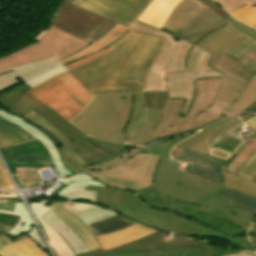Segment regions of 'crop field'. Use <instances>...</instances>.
<instances>
[{
    "instance_id": "11",
    "label": "crop field",
    "mask_w": 256,
    "mask_h": 256,
    "mask_svg": "<svg viewBox=\"0 0 256 256\" xmlns=\"http://www.w3.org/2000/svg\"><path fill=\"white\" fill-rule=\"evenodd\" d=\"M108 21L109 19L63 1L55 11L50 25L89 42Z\"/></svg>"
},
{
    "instance_id": "6",
    "label": "crop field",
    "mask_w": 256,
    "mask_h": 256,
    "mask_svg": "<svg viewBox=\"0 0 256 256\" xmlns=\"http://www.w3.org/2000/svg\"><path fill=\"white\" fill-rule=\"evenodd\" d=\"M223 79L216 77L195 80L194 99L185 117H180L185 100L167 99L161 120L155 127V138L197 129L220 119L205 109L217 98Z\"/></svg>"
},
{
    "instance_id": "38",
    "label": "crop field",
    "mask_w": 256,
    "mask_h": 256,
    "mask_svg": "<svg viewBox=\"0 0 256 256\" xmlns=\"http://www.w3.org/2000/svg\"><path fill=\"white\" fill-rule=\"evenodd\" d=\"M234 18L245 23L248 26L256 24V8L245 5L238 10L230 13Z\"/></svg>"
},
{
    "instance_id": "64",
    "label": "crop field",
    "mask_w": 256,
    "mask_h": 256,
    "mask_svg": "<svg viewBox=\"0 0 256 256\" xmlns=\"http://www.w3.org/2000/svg\"><path fill=\"white\" fill-rule=\"evenodd\" d=\"M249 238H250V240L252 241V243H253L254 245H256V237H254V236H249Z\"/></svg>"
},
{
    "instance_id": "72",
    "label": "crop field",
    "mask_w": 256,
    "mask_h": 256,
    "mask_svg": "<svg viewBox=\"0 0 256 256\" xmlns=\"http://www.w3.org/2000/svg\"><path fill=\"white\" fill-rule=\"evenodd\" d=\"M252 28L256 29V25H254Z\"/></svg>"
},
{
    "instance_id": "24",
    "label": "crop field",
    "mask_w": 256,
    "mask_h": 256,
    "mask_svg": "<svg viewBox=\"0 0 256 256\" xmlns=\"http://www.w3.org/2000/svg\"><path fill=\"white\" fill-rule=\"evenodd\" d=\"M239 122L241 121L238 117L225 120L200 131L177 146L199 152L217 136L237 125Z\"/></svg>"
},
{
    "instance_id": "9",
    "label": "crop field",
    "mask_w": 256,
    "mask_h": 256,
    "mask_svg": "<svg viewBox=\"0 0 256 256\" xmlns=\"http://www.w3.org/2000/svg\"><path fill=\"white\" fill-rule=\"evenodd\" d=\"M33 111L73 140L74 142L69 143V145L89 165L110 159L128 147V145L104 142L89 137L45 104Z\"/></svg>"
},
{
    "instance_id": "37",
    "label": "crop field",
    "mask_w": 256,
    "mask_h": 256,
    "mask_svg": "<svg viewBox=\"0 0 256 256\" xmlns=\"http://www.w3.org/2000/svg\"><path fill=\"white\" fill-rule=\"evenodd\" d=\"M73 215H75L80 221L87 225L116 214L109 210H102L100 207L93 205L89 208L75 212Z\"/></svg>"
},
{
    "instance_id": "16",
    "label": "crop field",
    "mask_w": 256,
    "mask_h": 256,
    "mask_svg": "<svg viewBox=\"0 0 256 256\" xmlns=\"http://www.w3.org/2000/svg\"><path fill=\"white\" fill-rule=\"evenodd\" d=\"M171 155L190 162L186 171L224 185L222 166L218 165L221 160L178 147L173 148Z\"/></svg>"
},
{
    "instance_id": "4",
    "label": "crop field",
    "mask_w": 256,
    "mask_h": 256,
    "mask_svg": "<svg viewBox=\"0 0 256 256\" xmlns=\"http://www.w3.org/2000/svg\"><path fill=\"white\" fill-rule=\"evenodd\" d=\"M39 41L0 58V91L19 84L16 78L25 83L61 66L58 60L89 44L52 26Z\"/></svg>"
},
{
    "instance_id": "63",
    "label": "crop field",
    "mask_w": 256,
    "mask_h": 256,
    "mask_svg": "<svg viewBox=\"0 0 256 256\" xmlns=\"http://www.w3.org/2000/svg\"><path fill=\"white\" fill-rule=\"evenodd\" d=\"M9 240H11V239H9L8 237H6V236L4 235V236H2V237L0 238V244H2V243H4V242H7V241H9Z\"/></svg>"
},
{
    "instance_id": "65",
    "label": "crop field",
    "mask_w": 256,
    "mask_h": 256,
    "mask_svg": "<svg viewBox=\"0 0 256 256\" xmlns=\"http://www.w3.org/2000/svg\"><path fill=\"white\" fill-rule=\"evenodd\" d=\"M70 98L73 99L76 103H78L80 106H82L83 108L85 107L83 104H81L79 101H77L74 97H72L70 95Z\"/></svg>"
},
{
    "instance_id": "3",
    "label": "crop field",
    "mask_w": 256,
    "mask_h": 256,
    "mask_svg": "<svg viewBox=\"0 0 256 256\" xmlns=\"http://www.w3.org/2000/svg\"><path fill=\"white\" fill-rule=\"evenodd\" d=\"M165 39L131 31L111 47L66 66L92 93L142 90Z\"/></svg>"
},
{
    "instance_id": "54",
    "label": "crop field",
    "mask_w": 256,
    "mask_h": 256,
    "mask_svg": "<svg viewBox=\"0 0 256 256\" xmlns=\"http://www.w3.org/2000/svg\"><path fill=\"white\" fill-rule=\"evenodd\" d=\"M243 122L256 130V116L255 115Z\"/></svg>"
},
{
    "instance_id": "20",
    "label": "crop field",
    "mask_w": 256,
    "mask_h": 256,
    "mask_svg": "<svg viewBox=\"0 0 256 256\" xmlns=\"http://www.w3.org/2000/svg\"><path fill=\"white\" fill-rule=\"evenodd\" d=\"M0 116L9 120L12 123L18 125L24 131L29 133L34 139L38 138L46 146V148L48 149V151L51 155L54 166L56 167L61 178L73 174V173L67 171L65 169V167L63 166V163L61 161L57 147L47 134H45L40 129L34 127L32 124L22 120L21 118H18L16 116L12 115L10 113H7L5 111H0Z\"/></svg>"
},
{
    "instance_id": "7",
    "label": "crop field",
    "mask_w": 256,
    "mask_h": 256,
    "mask_svg": "<svg viewBox=\"0 0 256 256\" xmlns=\"http://www.w3.org/2000/svg\"><path fill=\"white\" fill-rule=\"evenodd\" d=\"M245 38L246 36L226 25L208 34L196 45L212 54L209 66L241 84H246L256 74V47L237 60L225 55L226 51Z\"/></svg>"
},
{
    "instance_id": "12",
    "label": "crop field",
    "mask_w": 256,
    "mask_h": 256,
    "mask_svg": "<svg viewBox=\"0 0 256 256\" xmlns=\"http://www.w3.org/2000/svg\"><path fill=\"white\" fill-rule=\"evenodd\" d=\"M151 0H73L72 3L98 15L132 26Z\"/></svg>"
},
{
    "instance_id": "32",
    "label": "crop field",
    "mask_w": 256,
    "mask_h": 256,
    "mask_svg": "<svg viewBox=\"0 0 256 256\" xmlns=\"http://www.w3.org/2000/svg\"><path fill=\"white\" fill-rule=\"evenodd\" d=\"M51 209L59 215L68 226L73 229L76 234L82 239V241L87 245V247L92 250L100 249V245L95 239V237L86 229V227L70 212L62 208L61 206L54 203Z\"/></svg>"
},
{
    "instance_id": "50",
    "label": "crop field",
    "mask_w": 256,
    "mask_h": 256,
    "mask_svg": "<svg viewBox=\"0 0 256 256\" xmlns=\"http://www.w3.org/2000/svg\"><path fill=\"white\" fill-rule=\"evenodd\" d=\"M18 217L0 213V223L13 225L17 222Z\"/></svg>"
},
{
    "instance_id": "73",
    "label": "crop field",
    "mask_w": 256,
    "mask_h": 256,
    "mask_svg": "<svg viewBox=\"0 0 256 256\" xmlns=\"http://www.w3.org/2000/svg\"><path fill=\"white\" fill-rule=\"evenodd\" d=\"M66 1H69V2H71L72 0H66Z\"/></svg>"
},
{
    "instance_id": "1",
    "label": "crop field",
    "mask_w": 256,
    "mask_h": 256,
    "mask_svg": "<svg viewBox=\"0 0 256 256\" xmlns=\"http://www.w3.org/2000/svg\"><path fill=\"white\" fill-rule=\"evenodd\" d=\"M192 134L142 151L160 155L152 186L136 194L103 187L86 190H98L95 201L159 230L230 240L255 252L256 247L246 237L254 216L214 198L225 186L185 172L186 163L178 167L169 159L170 149Z\"/></svg>"
},
{
    "instance_id": "47",
    "label": "crop field",
    "mask_w": 256,
    "mask_h": 256,
    "mask_svg": "<svg viewBox=\"0 0 256 256\" xmlns=\"http://www.w3.org/2000/svg\"><path fill=\"white\" fill-rule=\"evenodd\" d=\"M27 235L29 237H31L34 240V242L37 243L41 248H43L44 250L47 249L45 243L43 242V240H42V238H41V236H40V234H39V232H38V230L36 228V226L33 227L30 230V232L27 233Z\"/></svg>"
},
{
    "instance_id": "30",
    "label": "crop field",
    "mask_w": 256,
    "mask_h": 256,
    "mask_svg": "<svg viewBox=\"0 0 256 256\" xmlns=\"http://www.w3.org/2000/svg\"><path fill=\"white\" fill-rule=\"evenodd\" d=\"M42 218L64 238L76 255L89 252V249L75 232L71 230L51 209Z\"/></svg>"
},
{
    "instance_id": "39",
    "label": "crop field",
    "mask_w": 256,
    "mask_h": 256,
    "mask_svg": "<svg viewBox=\"0 0 256 256\" xmlns=\"http://www.w3.org/2000/svg\"><path fill=\"white\" fill-rule=\"evenodd\" d=\"M142 147H132L129 146L124 152H122L121 154L117 155L115 158L98 163V164H94L91 166H88L86 168H84L85 170L89 171V170H93V169H97V168H102V167H106V166H110V165H114L117 164L123 160L128 159L129 157H131L133 154H135L138 150H140Z\"/></svg>"
},
{
    "instance_id": "49",
    "label": "crop field",
    "mask_w": 256,
    "mask_h": 256,
    "mask_svg": "<svg viewBox=\"0 0 256 256\" xmlns=\"http://www.w3.org/2000/svg\"><path fill=\"white\" fill-rule=\"evenodd\" d=\"M201 2H203L204 4H206L207 6H209L211 9H213L217 14H219L221 17L226 18L229 17V15L227 13H225L221 8H219L214 2L210 1V0H200Z\"/></svg>"
},
{
    "instance_id": "22",
    "label": "crop field",
    "mask_w": 256,
    "mask_h": 256,
    "mask_svg": "<svg viewBox=\"0 0 256 256\" xmlns=\"http://www.w3.org/2000/svg\"><path fill=\"white\" fill-rule=\"evenodd\" d=\"M165 235H166V232L159 231L154 234L143 237L141 239L135 240L133 242L110 249L108 251L122 250V249H135V248L168 247V246L205 243L203 241L188 239V238L177 236L174 234L172 235L171 239H169L165 237Z\"/></svg>"
},
{
    "instance_id": "10",
    "label": "crop field",
    "mask_w": 256,
    "mask_h": 256,
    "mask_svg": "<svg viewBox=\"0 0 256 256\" xmlns=\"http://www.w3.org/2000/svg\"><path fill=\"white\" fill-rule=\"evenodd\" d=\"M158 157L157 155L139 153L120 166L88 174L108 187L123 188L136 193L152 184Z\"/></svg>"
},
{
    "instance_id": "62",
    "label": "crop field",
    "mask_w": 256,
    "mask_h": 256,
    "mask_svg": "<svg viewBox=\"0 0 256 256\" xmlns=\"http://www.w3.org/2000/svg\"><path fill=\"white\" fill-rule=\"evenodd\" d=\"M254 114L256 115V111L253 112V113H251V114H247V115L240 116V118H241L242 121H243V120L247 119L248 117H250V116H252V115H254Z\"/></svg>"
},
{
    "instance_id": "8",
    "label": "crop field",
    "mask_w": 256,
    "mask_h": 256,
    "mask_svg": "<svg viewBox=\"0 0 256 256\" xmlns=\"http://www.w3.org/2000/svg\"><path fill=\"white\" fill-rule=\"evenodd\" d=\"M28 92L68 121L83 109L68 97L69 94L85 106L93 97L68 71L43 82Z\"/></svg>"
},
{
    "instance_id": "44",
    "label": "crop field",
    "mask_w": 256,
    "mask_h": 256,
    "mask_svg": "<svg viewBox=\"0 0 256 256\" xmlns=\"http://www.w3.org/2000/svg\"><path fill=\"white\" fill-rule=\"evenodd\" d=\"M219 3L228 13L244 4L253 5L256 0H214Z\"/></svg>"
},
{
    "instance_id": "45",
    "label": "crop field",
    "mask_w": 256,
    "mask_h": 256,
    "mask_svg": "<svg viewBox=\"0 0 256 256\" xmlns=\"http://www.w3.org/2000/svg\"><path fill=\"white\" fill-rule=\"evenodd\" d=\"M229 25L236 28L237 30L249 35L250 37L256 39V30H254V29H252V28H250V27H248V26H246V25H244L240 22H237V21H235V22H233Z\"/></svg>"
},
{
    "instance_id": "41",
    "label": "crop field",
    "mask_w": 256,
    "mask_h": 256,
    "mask_svg": "<svg viewBox=\"0 0 256 256\" xmlns=\"http://www.w3.org/2000/svg\"><path fill=\"white\" fill-rule=\"evenodd\" d=\"M236 174L243 176L249 180L252 179V177L256 174V150L237 170Z\"/></svg>"
},
{
    "instance_id": "18",
    "label": "crop field",
    "mask_w": 256,
    "mask_h": 256,
    "mask_svg": "<svg viewBox=\"0 0 256 256\" xmlns=\"http://www.w3.org/2000/svg\"><path fill=\"white\" fill-rule=\"evenodd\" d=\"M25 117L33 120L35 123L53 133L58 140L63 144L62 148H59V152L64 163L66 169L77 173L79 171H85L82 168L88 166L81 158L74 152L70 146L67 144L71 142V140L65 136L61 131H59L56 127L51 125L49 122L44 120L42 117L34 113L33 111L26 115Z\"/></svg>"
},
{
    "instance_id": "66",
    "label": "crop field",
    "mask_w": 256,
    "mask_h": 256,
    "mask_svg": "<svg viewBox=\"0 0 256 256\" xmlns=\"http://www.w3.org/2000/svg\"><path fill=\"white\" fill-rule=\"evenodd\" d=\"M0 199H20V198H0Z\"/></svg>"
},
{
    "instance_id": "43",
    "label": "crop field",
    "mask_w": 256,
    "mask_h": 256,
    "mask_svg": "<svg viewBox=\"0 0 256 256\" xmlns=\"http://www.w3.org/2000/svg\"><path fill=\"white\" fill-rule=\"evenodd\" d=\"M237 182L231 187L232 189L241 191L256 198V184L251 181H246L238 176L234 178Z\"/></svg>"
},
{
    "instance_id": "53",
    "label": "crop field",
    "mask_w": 256,
    "mask_h": 256,
    "mask_svg": "<svg viewBox=\"0 0 256 256\" xmlns=\"http://www.w3.org/2000/svg\"><path fill=\"white\" fill-rule=\"evenodd\" d=\"M64 71H66L65 68H63V69H61V70H59V71H57V72H55V73H53V74H51V75H49V76H47V77H45V78H43V79H41V80L35 82L34 84H32V85H30V86H28V87H29V89H30V88H32V87H34V86H36V85L42 83L43 81H45V80H47V79H49V78H51V77H53V76H55V75H57V74H60V73H62V72H64Z\"/></svg>"
},
{
    "instance_id": "58",
    "label": "crop field",
    "mask_w": 256,
    "mask_h": 256,
    "mask_svg": "<svg viewBox=\"0 0 256 256\" xmlns=\"http://www.w3.org/2000/svg\"><path fill=\"white\" fill-rule=\"evenodd\" d=\"M12 228V226H8V225H2L0 224V230H3V231H8Z\"/></svg>"
},
{
    "instance_id": "70",
    "label": "crop field",
    "mask_w": 256,
    "mask_h": 256,
    "mask_svg": "<svg viewBox=\"0 0 256 256\" xmlns=\"http://www.w3.org/2000/svg\"><path fill=\"white\" fill-rule=\"evenodd\" d=\"M0 192H4V193H13V192H6V191H0Z\"/></svg>"
},
{
    "instance_id": "33",
    "label": "crop field",
    "mask_w": 256,
    "mask_h": 256,
    "mask_svg": "<svg viewBox=\"0 0 256 256\" xmlns=\"http://www.w3.org/2000/svg\"><path fill=\"white\" fill-rule=\"evenodd\" d=\"M129 29H130V27H127V26L117 23L108 33H106L103 37H101L100 39L95 41L93 44L86 47L82 51H80L74 55H71L59 62L64 64L71 60H75L80 57L91 54L95 51H98V50L104 48L105 46L111 44L112 42L118 40L119 38H121Z\"/></svg>"
},
{
    "instance_id": "28",
    "label": "crop field",
    "mask_w": 256,
    "mask_h": 256,
    "mask_svg": "<svg viewBox=\"0 0 256 256\" xmlns=\"http://www.w3.org/2000/svg\"><path fill=\"white\" fill-rule=\"evenodd\" d=\"M181 0H154L137 19V22L156 28L163 27L175 5Z\"/></svg>"
},
{
    "instance_id": "60",
    "label": "crop field",
    "mask_w": 256,
    "mask_h": 256,
    "mask_svg": "<svg viewBox=\"0 0 256 256\" xmlns=\"http://www.w3.org/2000/svg\"><path fill=\"white\" fill-rule=\"evenodd\" d=\"M255 108H256V101L253 104H251L250 106H248L246 109H244V111L248 112Z\"/></svg>"
},
{
    "instance_id": "17",
    "label": "crop field",
    "mask_w": 256,
    "mask_h": 256,
    "mask_svg": "<svg viewBox=\"0 0 256 256\" xmlns=\"http://www.w3.org/2000/svg\"><path fill=\"white\" fill-rule=\"evenodd\" d=\"M198 17V16H197ZM234 19H222L210 8L191 23L172 34L173 38H180L195 44L200 38L212 30L223 26Z\"/></svg>"
},
{
    "instance_id": "2",
    "label": "crop field",
    "mask_w": 256,
    "mask_h": 256,
    "mask_svg": "<svg viewBox=\"0 0 256 256\" xmlns=\"http://www.w3.org/2000/svg\"><path fill=\"white\" fill-rule=\"evenodd\" d=\"M132 30L166 38L143 83V111L128 134V144L145 145L156 141L153 130L166 98L186 99L185 116L194 94V79L223 76L208 66L211 54L170 34L135 22ZM224 77V76H223Z\"/></svg>"
},
{
    "instance_id": "21",
    "label": "crop field",
    "mask_w": 256,
    "mask_h": 256,
    "mask_svg": "<svg viewBox=\"0 0 256 256\" xmlns=\"http://www.w3.org/2000/svg\"><path fill=\"white\" fill-rule=\"evenodd\" d=\"M208 8L209 7L198 0H182L176 5L163 28L173 33L177 31L178 28H182L188 24Z\"/></svg>"
},
{
    "instance_id": "25",
    "label": "crop field",
    "mask_w": 256,
    "mask_h": 256,
    "mask_svg": "<svg viewBox=\"0 0 256 256\" xmlns=\"http://www.w3.org/2000/svg\"><path fill=\"white\" fill-rule=\"evenodd\" d=\"M156 231L159 230L137 222L124 230L107 235L97 236L96 239L99 241L103 250L105 251L121 244L141 238L148 234L154 233Z\"/></svg>"
},
{
    "instance_id": "19",
    "label": "crop field",
    "mask_w": 256,
    "mask_h": 256,
    "mask_svg": "<svg viewBox=\"0 0 256 256\" xmlns=\"http://www.w3.org/2000/svg\"><path fill=\"white\" fill-rule=\"evenodd\" d=\"M24 84L0 95V104L9 112L22 117L42 105L34 96L28 93Z\"/></svg>"
},
{
    "instance_id": "55",
    "label": "crop field",
    "mask_w": 256,
    "mask_h": 256,
    "mask_svg": "<svg viewBox=\"0 0 256 256\" xmlns=\"http://www.w3.org/2000/svg\"><path fill=\"white\" fill-rule=\"evenodd\" d=\"M61 68H63V66L60 67V68H58V69H56V70H54V71H52V72H49V73L45 74V75L42 74L43 76H40V77H38V78H35V79L31 80V81L25 83V85L28 86V85H30L31 83H33V82H35V81H37V80H39V79H41V78H43V77H45V76L51 74V73H53V72H55V71H57V70H59V69H61Z\"/></svg>"
},
{
    "instance_id": "52",
    "label": "crop field",
    "mask_w": 256,
    "mask_h": 256,
    "mask_svg": "<svg viewBox=\"0 0 256 256\" xmlns=\"http://www.w3.org/2000/svg\"><path fill=\"white\" fill-rule=\"evenodd\" d=\"M225 169L226 168L223 167V173H224V177H225V186L230 188L235 183V181L232 180L235 177V175L224 172Z\"/></svg>"
},
{
    "instance_id": "34",
    "label": "crop field",
    "mask_w": 256,
    "mask_h": 256,
    "mask_svg": "<svg viewBox=\"0 0 256 256\" xmlns=\"http://www.w3.org/2000/svg\"><path fill=\"white\" fill-rule=\"evenodd\" d=\"M216 198L249 214L256 215V199L241 192L225 187Z\"/></svg>"
},
{
    "instance_id": "15",
    "label": "crop field",
    "mask_w": 256,
    "mask_h": 256,
    "mask_svg": "<svg viewBox=\"0 0 256 256\" xmlns=\"http://www.w3.org/2000/svg\"><path fill=\"white\" fill-rule=\"evenodd\" d=\"M11 165L50 166L51 158L38 140L0 148Z\"/></svg>"
},
{
    "instance_id": "69",
    "label": "crop field",
    "mask_w": 256,
    "mask_h": 256,
    "mask_svg": "<svg viewBox=\"0 0 256 256\" xmlns=\"http://www.w3.org/2000/svg\"><path fill=\"white\" fill-rule=\"evenodd\" d=\"M3 234H5V232L0 231V236L3 235Z\"/></svg>"
},
{
    "instance_id": "68",
    "label": "crop field",
    "mask_w": 256,
    "mask_h": 256,
    "mask_svg": "<svg viewBox=\"0 0 256 256\" xmlns=\"http://www.w3.org/2000/svg\"><path fill=\"white\" fill-rule=\"evenodd\" d=\"M0 169L4 170V168H3L2 164H1V162H0Z\"/></svg>"
},
{
    "instance_id": "23",
    "label": "crop field",
    "mask_w": 256,
    "mask_h": 256,
    "mask_svg": "<svg viewBox=\"0 0 256 256\" xmlns=\"http://www.w3.org/2000/svg\"><path fill=\"white\" fill-rule=\"evenodd\" d=\"M66 185L60 192L56 195L64 197L68 200L71 199H83L94 201L96 191H85L87 186H104L100 181L93 178L88 174L77 175L72 178L61 181Z\"/></svg>"
},
{
    "instance_id": "51",
    "label": "crop field",
    "mask_w": 256,
    "mask_h": 256,
    "mask_svg": "<svg viewBox=\"0 0 256 256\" xmlns=\"http://www.w3.org/2000/svg\"><path fill=\"white\" fill-rule=\"evenodd\" d=\"M115 24H116V22L110 21L99 33H97V34L93 37L91 43L94 42L95 40H97L98 38H100L101 36H103V35H104L107 31H109ZM91 43H90V44H91Z\"/></svg>"
},
{
    "instance_id": "61",
    "label": "crop field",
    "mask_w": 256,
    "mask_h": 256,
    "mask_svg": "<svg viewBox=\"0 0 256 256\" xmlns=\"http://www.w3.org/2000/svg\"><path fill=\"white\" fill-rule=\"evenodd\" d=\"M0 197H18L17 194H3L0 193Z\"/></svg>"
},
{
    "instance_id": "35",
    "label": "crop field",
    "mask_w": 256,
    "mask_h": 256,
    "mask_svg": "<svg viewBox=\"0 0 256 256\" xmlns=\"http://www.w3.org/2000/svg\"><path fill=\"white\" fill-rule=\"evenodd\" d=\"M33 140L19 127L0 117V147Z\"/></svg>"
},
{
    "instance_id": "42",
    "label": "crop field",
    "mask_w": 256,
    "mask_h": 256,
    "mask_svg": "<svg viewBox=\"0 0 256 256\" xmlns=\"http://www.w3.org/2000/svg\"><path fill=\"white\" fill-rule=\"evenodd\" d=\"M255 45H256V42L247 37L245 40L238 43L232 49L226 52V54L233 57L234 59H237L238 57H240L242 54L247 52L249 49H251Z\"/></svg>"
},
{
    "instance_id": "13",
    "label": "crop field",
    "mask_w": 256,
    "mask_h": 256,
    "mask_svg": "<svg viewBox=\"0 0 256 256\" xmlns=\"http://www.w3.org/2000/svg\"><path fill=\"white\" fill-rule=\"evenodd\" d=\"M256 100V77L247 86L224 79L220 94L213 107L231 115L245 113L242 111Z\"/></svg>"
},
{
    "instance_id": "27",
    "label": "crop field",
    "mask_w": 256,
    "mask_h": 256,
    "mask_svg": "<svg viewBox=\"0 0 256 256\" xmlns=\"http://www.w3.org/2000/svg\"><path fill=\"white\" fill-rule=\"evenodd\" d=\"M49 201H42V203H33L30 205L35 217L37 218L42 230L44 231L51 247L56 256H74L73 251L63 238L55 232L41 217L50 209L43 206Z\"/></svg>"
},
{
    "instance_id": "56",
    "label": "crop field",
    "mask_w": 256,
    "mask_h": 256,
    "mask_svg": "<svg viewBox=\"0 0 256 256\" xmlns=\"http://www.w3.org/2000/svg\"><path fill=\"white\" fill-rule=\"evenodd\" d=\"M81 256H103V253H102V250L100 249V250H97L85 255H81Z\"/></svg>"
},
{
    "instance_id": "71",
    "label": "crop field",
    "mask_w": 256,
    "mask_h": 256,
    "mask_svg": "<svg viewBox=\"0 0 256 256\" xmlns=\"http://www.w3.org/2000/svg\"><path fill=\"white\" fill-rule=\"evenodd\" d=\"M254 221H255V224H254V226L256 227V218H255V220H254Z\"/></svg>"
},
{
    "instance_id": "36",
    "label": "crop field",
    "mask_w": 256,
    "mask_h": 256,
    "mask_svg": "<svg viewBox=\"0 0 256 256\" xmlns=\"http://www.w3.org/2000/svg\"><path fill=\"white\" fill-rule=\"evenodd\" d=\"M134 220H127L118 215L87 225L94 236L102 235L126 228L135 223Z\"/></svg>"
},
{
    "instance_id": "57",
    "label": "crop field",
    "mask_w": 256,
    "mask_h": 256,
    "mask_svg": "<svg viewBox=\"0 0 256 256\" xmlns=\"http://www.w3.org/2000/svg\"><path fill=\"white\" fill-rule=\"evenodd\" d=\"M253 223H252V225L249 229L248 235H255L256 236V228L253 227Z\"/></svg>"
},
{
    "instance_id": "67",
    "label": "crop field",
    "mask_w": 256,
    "mask_h": 256,
    "mask_svg": "<svg viewBox=\"0 0 256 256\" xmlns=\"http://www.w3.org/2000/svg\"><path fill=\"white\" fill-rule=\"evenodd\" d=\"M252 181L256 182V175L254 176V178L252 179Z\"/></svg>"
},
{
    "instance_id": "26",
    "label": "crop field",
    "mask_w": 256,
    "mask_h": 256,
    "mask_svg": "<svg viewBox=\"0 0 256 256\" xmlns=\"http://www.w3.org/2000/svg\"><path fill=\"white\" fill-rule=\"evenodd\" d=\"M244 125L242 122L237 126L233 127L232 129L226 131L225 133L221 134L218 138H216L213 142H211L207 147H205L200 153L209 155L208 152L212 148H218L222 150L229 151L232 153L235 148L242 142V139L238 134H233L232 132L235 131L237 128ZM256 137V132L252 134L232 155L226 160L221 161L219 165L227 166L243 149L244 147L252 141V139ZM210 156V155H209Z\"/></svg>"
},
{
    "instance_id": "31",
    "label": "crop field",
    "mask_w": 256,
    "mask_h": 256,
    "mask_svg": "<svg viewBox=\"0 0 256 256\" xmlns=\"http://www.w3.org/2000/svg\"><path fill=\"white\" fill-rule=\"evenodd\" d=\"M0 256H49L26 234L0 246Z\"/></svg>"
},
{
    "instance_id": "5",
    "label": "crop field",
    "mask_w": 256,
    "mask_h": 256,
    "mask_svg": "<svg viewBox=\"0 0 256 256\" xmlns=\"http://www.w3.org/2000/svg\"><path fill=\"white\" fill-rule=\"evenodd\" d=\"M94 95L92 102L71 122L93 137L126 143L125 133H128L134 119L140 118L142 91Z\"/></svg>"
},
{
    "instance_id": "14",
    "label": "crop field",
    "mask_w": 256,
    "mask_h": 256,
    "mask_svg": "<svg viewBox=\"0 0 256 256\" xmlns=\"http://www.w3.org/2000/svg\"><path fill=\"white\" fill-rule=\"evenodd\" d=\"M238 252L237 250L206 243L169 248L122 250L103 253L104 256H221Z\"/></svg>"
},
{
    "instance_id": "59",
    "label": "crop field",
    "mask_w": 256,
    "mask_h": 256,
    "mask_svg": "<svg viewBox=\"0 0 256 256\" xmlns=\"http://www.w3.org/2000/svg\"><path fill=\"white\" fill-rule=\"evenodd\" d=\"M226 256H255V255H251V254H248L246 252H242V253H239V254L226 255Z\"/></svg>"
},
{
    "instance_id": "29",
    "label": "crop field",
    "mask_w": 256,
    "mask_h": 256,
    "mask_svg": "<svg viewBox=\"0 0 256 256\" xmlns=\"http://www.w3.org/2000/svg\"><path fill=\"white\" fill-rule=\"evenodd\" d=\"M0 212L20 216L15 226L6 233L13 238L29 231L34 226L21 200H0Z\"/></svg>"
},
{
    "instance_id": "74",
    "label": "crop field",
    "mask_w": 256,
    "mask_h": 256,
    "mask_svg": "<svg viewBox=\"0 0 256 256\" xmlns=\"http://www.w3.org/2000/svg\"><path fill=\"white\" fill-rule=\"evenodd\" d=\"M253 6H255V7H256V4H255V5H253Z\"/></svg>"
},
{
    "instance_id": "40",
    "label": "crop field",
    "mask_w": 256,
    "mask_h": 256,
    "mask_svg": "<svg viewBox=\"0 0 256 256\" xmlns=\"http://www.w3.org/2000/svg\"><path fill=\"white\" fill-rule=\"evenodd\" d=\"M256 148V138L249 143L246 148L227 166L226 172L234 174L235 171L242 165L249 155Z\"/></svg>"
},
{
    "instance_id": "46",
    "label": "crop field",
    "mask_w": 256,
    "mask_h": 256,
    "mask_svg": "<svg viewBox=\"0 0 256 256\" xmlns=\"http://www.w3.org/2000/svg\"><path fill=\"white\" fill-rule=\"evenodd\" d=\"M59 204L63 205L71 213L91 206V204H82V203H75V202H70V201H66L64 203H59Z\"/></svg>"
},
{
    "instance_id": "48",
    "label": "crop field",
    "mask_w": 256,
    "mask_h": 256,
    "mask_svg": "<svg viewBox=\"0 0 256 256\" xmlns=\"http://www.w3.org/2000/svg\"><path fill=\"white\" fill-rule=\"evenodd\" d=\"M0 188L13 189V185L6 173V171L0 170Z\"/></svg>"
}]
</instances>
